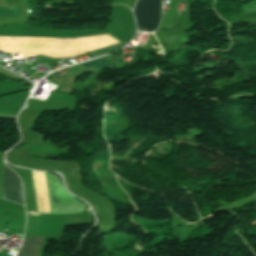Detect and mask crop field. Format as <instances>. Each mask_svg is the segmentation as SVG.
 Returning a JSON list of instances; mask_svg holds the SVG:
<instances>
[{
  "label": "crop field",
  "instance_id": "2",
  "mask_svg": "<svg viewBox=\"0 0 256 256\" xmlns=\"http://www.w3.org/2000/svg\"><path fill=\"white\" fill-rule=\"evenodd\" d=\"M3 193L4 199L24 205L21 182L18 176L6 168L5 165L3 170Z\"/></svg>",
  "mask_w": 256,
  "mask_h": 256
},
{
  "label": "crop field",
  "instance_id": "6",
  "mask_svg": "<svg viewBox=\"0 0 256 256\" xmlns=\"http://www.w3.org/2000/svg\"><path fill=\"white\" fill-rule=\"evenodd\" d=\"M31 215H38V214H31Z\"/></svg>",
  "mask_w": 256,
  "mask_h": 256
},
{
  "label": "crop field",
  "instance_id": "4",
  "mask_svg": "<svg viewBox=\"0 0 256 256\" xmlns=\"http://www.w3.org/2000/svg\"><path fill=\"white\" fill-rule=\"evenodd\" d=\"M83 68L94 66V68L97 67H103V66H113V56H105L101 58H97L85 63H82Z\"/></svg>",
  "mask_w": 256,
  "mask_h": 256
},
{
  "label": "crop field",
  "instance_id": "3",
  "mask_svg": "<svg viewBox=\"0 0 256 256\" xmlns=\"http://www.w3.org/2000/svg\"><path fill=\"white\" fill-rule=\"evenodd\" d=\"M41 238L42 237L35 236L33 238L25 239L18 256H37Z\"/></svg>",
  "mask_w": 256,
  "mask_h": 256
},
{
  "label": "crop field",
  "instance_id": "5",
  "mask_svg": "<svg viewBox=\"0 0 256 256\" xmlns=\"http://www.w3.org/2000/svg\"><path fill=\"white\" fill-rule=\"evenodd\" d=\"M14 6H0V16H17Z\"/></svg>",
  "mask_w": 256,
  "mask_h": 256
},
{
  "label": "crop field",
  "instance_id": "1",
  "mask_svg": "<svg viewBox=\"0 0 256 256\" xmlns=\"http://www.w3.org/2000/svg\"><path fill=\"white\" fill-rule=\"evenodd\" d=\"M138 31L152 32L160 19V0H139L135 8Z\"/></svg>",
  "mask_w": 256,
  "mask_h": 256
}]
</instances>
